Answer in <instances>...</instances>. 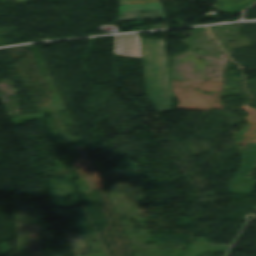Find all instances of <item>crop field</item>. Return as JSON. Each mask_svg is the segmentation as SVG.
Segmentation results:
<instances>
[{
  "instance_id": "crop-field-1",
  "label": "crop field",
  "mask_w": 256,
  "mask_h": 256,
  "mask_svg": "<svg viewBox=\"0 0 256 256\" xmlns=\"http://www.w3.org/2000/svg\"><path fill=\"white\" fill-rule=\"evenodd\" d=\"M141 48L147 95L159 112L170 111L171 83L165 42L142 39Z\"/></svg>"
},
{
  "instance_id": "crop-field-2",
  "label": "crop field",
  "mask_w": 256,
  "mask_h": 256,
  "mask_svg": "<svg viewBox=\"0 0 256 256\" xmlns=\"http://www.w3.org/2000/svg\"><path fill=\"white\" fill-rule=\"evenodd\" d=\"M165 19L160 0H120L119 22Z\"/></svg>"
},
{
  "instance_id": "crop-field-3",
  "label": "crop field",
  "mask_w": 256,
  "mask_h": 256,
  "mask_svg": "<svg viewBox=\"0 0 256 256\" xmlns=\"http://www.w3.org/2000/svg\"><path fill=\"white\" fill-rule=\"evenodd\" d=\"M116 55L142 58L138 34L115 36Z\"/></svg>"
}]
</instances>
